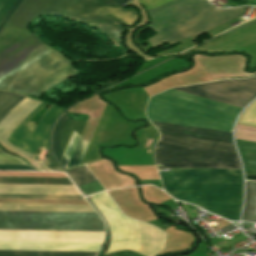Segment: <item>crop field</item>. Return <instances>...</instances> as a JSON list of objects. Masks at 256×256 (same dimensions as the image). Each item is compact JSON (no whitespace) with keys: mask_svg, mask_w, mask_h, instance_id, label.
Instances as JSON below:
<instances>
[{"mask_svg":"<svg viewBox=\"0 0 256 256\" xmlns=\"http://www.w3.org/2000/svg\"><path fill=\"white\" fill-rule=\"evenodd\" d=\"M75 0H23L9 21L29 29L31 20L43 14L63 15ZM105 32L119 46L125 31L113 21L129 27L138 20L133 8L123 9L114 0H76L63 15ZM7 21L0 30V71L28 30ZM77 73L60 53L29 31L0 73V89L37 96L56 83Z\"/></svg>","mask_w":256,"mask_h":256,"instance_id":"1","label":"crop field"},{"mask_svg":"<svg viewBox=\"0 0 256 256\" xmlns=\"http://www.w3.org/2000/svg\"><path fill=\"white\" fill-rule=\"evenodd\" d=\"M169 1L139 0L147 11ZM243 10H219L203 0H173L149 11L153 20L148 26L159 32L149 41L156 48L167 42L172 45L189 37L194 39L240 16Z\"/></svg>","mask_w":256,"mask_h":256,"instance_id":"2","label":"crop field"},{"mask_svg":"<svg viewBox=\"0 0 256 256\" xmlns=\"http://www.w3.org/2000/svg\"><path fill=\"white\" fill-rule=\"evenodd\" d=\"M241 108L170 89L150 99V120L231 132Z\"/></svg>","mask_w":256,"mask_h":256,"instance_id":"3","label":"crop field"},{"mask_svg":"<svg viewBox=\"0 0 256 256\" xmlns=\"http://www.w3.org/2000/svg\"><path fill=\"white\" fill-rule=\"evenodd\" d=\"M92 198L111 229V243L106 254L133 250L152 256L163 248L164 232L152 225L124 216L106 192L92 195Z\"/></svg>","mask_w":256,"mask_h":256,"instance_id":"4","label":"crop field"},{"mask_svg":"<svg viewBox=\"0 0 256 256\" xmlns=\"http://www.w3.org/2000/svg\"><path fill=\"white\" fill-rule=\"evenodd\" d=\"M37 101H33L30 99ZM1 123L0 137L11 147L20 150L31 156L39 143L48 144L50 128L56 118L65 110V108L52 103L35 99L27 96ZM40 104V105H39ZM52 105L43 115L33 132L31 133L25 126L28 121L46 105ZM39 105V106H38ZM38 106V107H37ZM37 107V108H36ZM36 108V109H35ZM35 109V110H34ZM34 110V111H33ZM33 111V112H32ZM32 112V113H31ZM31 113V114H30ZM30 114V115H29ZM29 115V116H28ZM28 116L27 118H25ZM25 118V119H24ZM24 119V120H23ZM23 120V121H22ZM22 121V122H21ZM21 122V123H20ZM20 123V124H19ZM19 124V125H18ZM18 125V126H17ZM17 126V127H16ZM16 127V128H15ZM15 128V129H14ZM14 129V130H13ZM13 130V131H12ZM12 131V132H11ZM11 132V134H10ZM10 136L8 137V135ZM8 137V139H7ZM31 153H27L15 146Z\"/></svg>","mask_w":256,"mask_h":256,"instance_id":"5","label":"crop field"},{"mask_svg":"<svg viewBox=\"0 0 256 256\" xmlns=\"http://www.w3.org/2000/svg\"><path fill=\"white\" fill-rule=\"evenodd\" d=\"M0 229L104 231L96 213L0 211Z\"/></svg>","mask_w":256,"mask_h":256,"instance_id":"6","label":"crop field"},{"mask_svg":"<svg viewBox=\"0 0 256 256\" xmlns=\"http://www.w3.org/2000/svg\"><path fill=\"white\" fill-rule=\"evenodd\" d=\"M163 185L165 191L177 199L188 201L229 220H238L242 202V186Z\"/></svg>","mask_w":256,"mask_h":256,"instance_id":"7","label":"crop field"},{"mask_svg":"<svg viewBox=\"0 0 256 256\" xmlns=\"http://www.w3.org/2000/svg\"><path fill=\"white\" fill-rule=\"evenodd\" d=\"M158 167L240 168L236 154L158 143Z\"/></svg>","mask_w":256,"mask_h":256,"instance_id":"8","label":"crop field"},{"mask_svg":"<svg viewBox=\"0 0 256 256\" xmlns=\"http://www.w3.org/2000/svg\"><path fill=\"white\" fill-rule=\"evenodd\" d=\"M175 89L243 108L245 104L256 97V77Z\"/></svg>","mask_w":256,"mask_h":256,"instance_id":"9","label":"crop field"},{"mask_svg":"<svg viewBox=\"0 0 256 256\" xmlns=\"http://www.w3.org/2000/svg\"><path fill=\"white\" fill-rule=\"evenodd\" d=\"M102 243L0 241L2 250L98 251ZM97 252L1 251L0 256H95Z\"/></svg>","mask_w":256,"mask_h":256,"instance_id":"10","label":"crop field"},{"mask_svg":"<svg viewBox=\"0 0 256 256\" xmlns=\"http://www.w3.org/2000/svg\"><path fill=\"white\" fill-rule=\"evenodd\" d=\"M159 173L163 183L242 185L240 170L172 169Z\"/></svg>","mask_w":256,"mask_h":256,"instance_id":"11","label":"crop field"},{"mask_svg":"<svg viewBox=\"0 0 256 256\" xmlns=\"http://www.w3.org/2000/svg\"><path fill=\"white\" fill-rule=\"evenodd\" d=\"M152 122L160 133L232 143L231 133L228 132Z\"/></svg>","mask_w":256,"mask_h":256,"instance_id":"12","label":"crop field"},{"mask_svg":"<svg viewBox=\"0 0 256 256\" xmlns=\"http://www.w3.org/2000/svg\"><path fill=\"white\" fill-rule=\"evenodd\" d=\"M236 137L256 140V127L237 125ZM236 138L245 171L256 174V141Z\"/></svg>","mask_w":256,"mask_h":256,"instance_id":"13","label":"crop field"},{"mask_svg":"<svg viewBox=\"0 0 256 256\" xmlns=\"http://www.w3.org/2000/svg\"><path fill=\"white\" fill-rule=\"evenodd\" d=\"M0 193L80 195L74 186L0 184Z\"/></svg>","mask_w":256,"mask_h":256,"instance_id":"14","label":"crop field"},{"mask_svg":"<svg viewBox=\"0 0 256 256\" xmlns=\"http://www.w3.org/2000/svg\"><path fill=\"white\" fill-rule=\"evenodd\" d=\"M161 143L236 153L232 144L161 134Z\"/></svg>","mask_w":256,"mask_h":256,"instance_id":"15","label":"crop field"},{"mask_svg":"<svg viewBox=\"0 0 256 256\" xmlns=\"http://www.w3.org/2000/svg\"><path fill=\"white\" fill-rule=\"evenodd\" d=\"M0 210L94 212L89 206L0 204Z\"/></svg>","mask_w":256,"mask_h":256,"instance_id":"16","label":"crop field"},{"mask_svg":"<svg viewBox=\"0 0 256 256\" xmlns=\"http://www.w3.org/2000/svg\"><path fill=\"white\" fill-rule=\"evenodd\" d=\"M0 183L72 185L68 178L51 177H0Z\"/></svg>","mask_w":256,"mask_h":256,"instance_id":"17","label":"crop field"},{"mask_svg":"<svg viewBox=\"0 0 256 256\" xmlns=\"http://www.w3.org/2000/svg\"><path fill=\"white\" fill-rule=\"evenodd\" d=\"M25 96L15 92L0 90V122Z\"/></svg>","mask_w":256,"mask_h":256,"instance_id":"18","label":"crop field"},{"mask_svg":"<svg viewBox=\"0 0 256 256\" xmlns=\"http://www.w3.org/2000/svg\"><path fill=\"white\" fill-rule=\"evenodd\" d=\"M243 221L256 222V182H247V202Z\"/></svg>","mask_w":256,"mask_h":256,"instance_id":"19","label":"crop field"},{"mask_svg":"<svg viewBox=\"0 0 256 256\" xmlns=\"http://www.w3.org/2000/svg\"><path fill=\"white\" fill-rule=\"evenodd\" d=\"M67 172L79 186L96 181L86 166L68 170Z\"/></svg>","mask_w":256,"mask_h":256,"instance_id":"20","label":"crop field"},{"mask_svg":"<svg viewBox=\"0 0 256 256\" xmlns=\"http://www.w3.org/2000/svg\"><path fill=\"white\" fill-rule=\"evenodd\" d=\"M22 0H0V29Z\"/></svg>","mask_w":256,"mask_h":256,"instance_id":"21","label":"crop field"},{"mask_svg":"<svg viewBox=\"0 0 256 256\" xmlns=\"http://www.w3.org/2000/svg\"><path fill=\"white\" fill-rule=\"evenodd\" d=\"M0 198L83 200L82 196L0 194Z\"/></svg>","mask_w":256,"mask_h":256,"instance_id":"22","label":"crop field"},{"mask_svg":"<svg viewBox=\"0 0 256 256\" xmlns=\"http://www.w3.org/2000/svg\"><path fill=\"white\" fill-rule=\"evenodd\" d=\"M66 118H67L66 114H63L61 116L60 120L58 121V123L55 126L53 136H52V145H53L54 152L56 154L57 159L61 162V164L64 166V168H65L67 163H66L64 157L61 154L58 135H59V131H60L63 123L65 122Z\"/></svg>","mask_w":256,"mask_h":256,"instance_id":"23","label":"crop field"},{"mask_svg":"<svg viewBox=\"0 0 256 256\" xmlns=\"http://www.w3.org/2000/svg\"><path fill=\"white\" fill-rule=\"evenodd\" d=\"M0 157H13L6 153H0ZM0 164H24L17 158H0ZM0 169L36 170L27 165H0Z\"/></svg>","mask_w":256,"mask_h":256,"instance_id":"24","label":"crop field"},{"mask_svg":"<svg viewBox=\"0 0 256 256\" xmlns=\"http://www.w3.org/2000/svg\"><path fill=\"white\" fill-rule=\"evenodd\" d=\"M88 145H89L88 142L80 138L78 145L74 151V154L67 168L78 166L80 164Z\"/></svg>","mask_w":256,"mask_h":256,"instance_id":"25","label":"crop field"},{"mask_svg":"<svg viewBox=\"0 0 256 256\" xmlns=\"http://www.w3.org/2000/svg\"><path fill=\"white\" fill-rule=\"evenodd\" d=\"M48 157L49 159L46 161V167L50 169L62 170L61 167L58 165V163L55 161L49 147H48Z\"/></svg>","mask_w":256,"mask_h":256,"instance_id":"26","label":"crop field"},{"mask_svg":"<svg viewBox=\"0 0 256 256\" xmlns=\"http://www.w3.org/2000/svg\"><path fill=\"white\" fill-rule=\"evenodd\" d=\"M182 204V203H181ZM182 206L186 209L187 213L189 214L190 218H194L196 216H198L197 214H195L193 211H191L189 208H187L185 205L182 204Z\"/></svg>","mask_w":256,"mask_h":256,"instance_id":"27","label":"crop field"},{"mask_svg":"<svg viewBox=\"0 0 256 256\" xmlns=\"http://www.w3.org/2000/svg\"><path fill=\"white\" fill-rule=\"evenodd\" d=\"M225 229H226L228 232H230V231L236 229V227H235L233 224H231V225L225 227Z\"/></svg>","mask_w":256,"mask_h":256,"instance_id":"28","label":"crop field"}]
</instances>
